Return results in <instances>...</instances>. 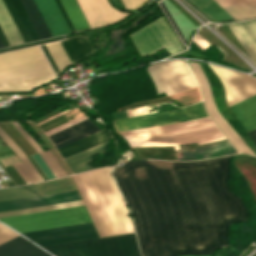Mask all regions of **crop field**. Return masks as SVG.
<instances>
[{"mask_svg":"<svg viewBox=\"0 0 256 256\" xmlns=\"http://www.w3.org/2000/svg\"><path fill=\"white\" fill-rule=\"evenodd\" d=\"M230 157L128 161L115 168L142 256L212 254L229 246V223L247 221L244 202L226 187Z\"/></svg>","mask_w":256,"mask_h":256,"instance_id":"obj_1","label":"crop field"},{"mask_svg":"<svg viewBox=\"0 0 256 256\" xmlns=\"http://www.w3.org/2000/svg\"><path fill=\"white\" fill-rule=\"evenodd\" d=\"M121 133L130 147L187 145L223 137L209 117Z\"/></svg>","mask_w":256,"mask_h":256,"instance_id":"obj_2","label":"crop field"},{"mask_svg":"<svg viewBox=\"0 0 256 256\" xmlns=\"http://www.w3.org/2000/svg\"><path fill=\"white\" fill-rule=\"evenodd\" d=\"M44 248L57 256H139L133 234L45 246Z\"/></svg>","mask_w":256,"mask_h":256,"instance_id":"obj_3","label":"crop field"},{"mask_svg":"<svg viewBox=\"0 0 256 256\" xmlns=\"http://www.w3.org/2000/svg\"><path fill=\"white\" fill-rule=\"evenodd\" d=\"M19 233L92 222L85 207L0 218Z\"/></svg>","mask_w":256,"mask_h":256,"instance_id":"obj_4","label":"crop field"},{"mask_svg":"<svg viewBox=\"0 0 256 256\" xmlns=\"http://www.w3.org/2000/svg\"><path fill=\"white\" fill-rule=\"evenodd\" d=\"M131 36L142 56L163 48L172 54L183 49L163 16Z\"/></svg>","mask_w":256,"mask_h":256,"instance_id":"obj_5","label":"crop field"},{"mask_svg":"<svg viewBox=\"0 0 256 256\" xmlns=\"http://www.w3.org/2000/svg\"><path fill=\"white\" fill-rule=\"evenodd\" d=\"M208 116L203 103H197L186 108L171 111L153 113L147 116H140L114 121L118 131L135 129L146 126L165 125L183 122Z\"/></svg>","mask_w":256,"mask_h":256,"instance_id":"obj_6","label":"crop field"},{"mask_svg":"<svg viewBox=\"0 0 256 256\" xmlns=\"http://www.w3.org/2000/svg\"><path fill=\"white\" fill-rule=\"evenodd\" d=\"M23 235L41 246L99 238L92 223L23 233Z\"/></svg>","mask_w":256,"mask_h":256,"instance_id":"obj_7","label":"crop field"},{"mask_svg":"<svg viewBox=\"0 0 256 256\" xmlns=\"http://www.w3.org/2000/svg\"><path fill=\"white\" fill-rule=\"evenodd\" d=\"M90 28L111 24L128 13L114 9L107 0H77Z\"/></svg>","mask_w":256,"mask_h":256,"instance_id":"obj_8","label":"crop field"},{"mask_svg":"<svg viewBox=\"0 0 256 256\" xmlns=\"http://www.w3.org/2000/svg\"><path fill=\"white\" fill-rule=\"evenodd\" d=\"M80 199L77 191L0 202V212Z\"/></svg>","mask_w":256,"mask_h":256,"instance_id":"obj_9","label":"crop field"},{"mask_svg":"<svg viewBox=\"0 0 256 256\" xmlns=\"http://www.w3.org/2000/svg\"><path fill=\"white\" fill-rule=\"evenodd\" d=\"M98 131H100V129L95 125L92 120L88 118L82 122H79L69 128H66L60 132L49 136V139L56 146V148H58Z\"/></svg>","mask_w":256,"mask_h":256,"instance_id":"obj_10","label":"crop field"},{"mask_svg":"<svg viewBox=\"0 0 256 256\" xmlns=\"http://www.w3.org/2000/svg\"><path fill=\"white\" fill-rule=\"evenodd\" d=\"M52 36L69 33L70 30L54 0H34Z\"/></svg>","mask_w":256,"mask_h":256,"instance_id":"obj_11","label":"crop field"},{"mask_svg":"<svg viewBox=\"0 0 256 256\" xmlns=\"http://www.w3.org/2000/svg\"><path fill=\"white\" fill-rule=\"evenodd\" d=\"M228 26L256 64V19L230 23Z\"/></svg>","mask_w":256,"mask_h":256,"instance_id":"obj_12","label":"crop field"},{"mask_svg":"<svg viewBox=\"0 0 256 256\" xmlns=\"http://www.w3.org/2000/svg\"><path fill=\"white\" fill-rule=\"evenodd\" d=\"M20 236L0 245V256H50Z\"/></svg>","mask_w":256,"mask_h":256,"instance_id":"obj_13","label":"crop field"},{"mask_svg":"<svg viewBox=\"0 0 256 256\" xmlns=\"http://www.w3.org/2000/svg\"><path fill=\"white\" fill-rule=\"evenodd\" d=\"M192 41L195 42L203 50L214 44L225 53L226 56L223 57L222 60L233 63L239 67L250 69L236 54H234L228 47H226L217 37H215L208 30L196 34Z\"/></svg>","mask_w":256,"mask_h":256,"instance_id":"obj_14","label":"crop field"},{"mask_svg":"<svg viewBox=\"0 0 256 256\" xmlns=\"http://www.w3.org/2000/svg\"><path fill=\"white\" fill-rule=\"evenodd\" d=\"M194 150L195 151L183 152L182 158H178V160L190 161L238 153L229 142L202 148H194Z\"/></svg>","mask_w":256,"mask_h":256,"instance_id":"obj_15","label":"crop field"},{"mask_svg":"<svg viewBox=\"0 0 256 256\" xmlns=\"http://www.w3.org/2000/svg\"><path fill=\"white\" fill-rule=\"evenodd\" d=\"M231 109L247 132L256 128V95L231 106Z\"/></svg>","mask_w":256,"mask_h":256,"instance_id":"obj_16","label":"crop field"},{"mask_svg":"<svg viewBox=\"0 0 256 256\" xmlns=\"http://www.w3.org/2000/svg\"><path fill=\"white\" fill-rule=\"evenodd\" d=\"M108 141L109 140L88 150L80 151L74 155H71L65 158V161L74 173L90 170L92 169L91 166L88 164L92 162L90 156L103 152L105 146L108 144Z\"/></svg>","mask_w":256,"mask_h":256,"instance_id":"obj_17","label":"crop field"},{"mask_svg":"<svg viewBox=\"0 0 256 256\" xmlns=\"http://www.w3.org/2000/svg\"><path fill=\"white\" fill-rule=\"evenodd\" d=\"M112 138L111 134L107 129L98 132L96 134H93L89 137H86L84 139H81L79 141L73 142L71 144H68L66 146L60 147L57 150L59 151L62 158L71 155L73 153H76L80 150H83L85 148L91 147L93 145H96L106 139Z\"/></svg>","mask_w":256,"mask_h":256,"instance_id":"obj_18","label":"crop field"},{"mask_svg":"<svg viewBox=\"0 0 256 256\" xmlns=\"http://www.w3.org/2000/svg\"><path fill=\"white\" fill-rule=\"evenodd\" d=\"M187 3H189L194 9H196L198 12H200L206 19H208L209 21L213 22L214 21H218V20H224V19H230L232 18L229 14H227L215 1L213 0H189L192 4H194L197 8H199L203 13H205L209 18V19L205 14H203L200 10H198L194 5H192L188 0H185ZM230 20H234V19H230ZM230 20H224V21H230ZM218 22H222V21H218ZM215 22V23H218Z\"/></svg>","mask_w":256,"mask_h":256,"instance_id":"obj_19","label":"crop field"},{"mask_svg":"<svg viewBox=\"0 0 256 256\" xmlns=\"http://www.w3.org/2000/svg\"><path fill=\"white\" fill-rule=\"evenodd\" d=\"M61 43L72 64L94 51L87 38L76 37L67 41H61Z\"/></svg>","mask_w":256,"mask_h":256,"instance_id":"obj_20","label":"crop field"},{"mask_svg":"<svg viewBox=\"0 0 256 256\" xmlns=\"http://www.w3.org/2000/svg\"><path fill=\"white\" fill-rule=\"evenodd\" d=\"M216 1V0H215ZM219 1L229 12H231L236 18L256 14V0H217ZM216 1V2H217ZM219 2H217L226 12H228ZM228 12V13H229ZM231 13H229L235 20ZM256 16V15H252ZM251 17V16H248ZM247 18V17H243ZM242 19V18H239Z\"/></svg>","mask_w":256,"mask_h":256,"instance_id":"obj_21","label":"crop field"},{"mask_svg":"<svg viewBox=\"0 0 256 256\" xmlns=\"http://www.w3.org/2000/svg\"><path fill=\"white\" fill-rule=\"evenodd\" d=\"M0 28L10 46L23 43V40L2 0H0Z\"/></svg>","mask_w":256,"mask_h":256,"instance_id":"obj_22","label":"crop field"},{"mask_svg":"<svg viewBox=\"0 0 256 256\" xmlns=\"http://www.w3.org/2000/svg\"><path fill=\"white\" fill-rule=\"evenodd\" d=\"M28 16L30 17L40 39L51 37V34L39 13L33 0H21Z\"/></svg>","mask_w":256,"mask_h":256,"instance_id":"obj_23","label":"crop field"},{"mask_svg":"<svg viewBox=\"0 0 256 256\" xmlns=\"http://www.w3.org/2000/svg\"><path fill=\"white\" fill-rule=\"evenodd\" d=\"M35 184L0 189V201L37 196Z\"/></svg>","mask_w":256,"mask_h":256,"instance_id":"obj_24","label":"crop field"},{"mask_svg":"<svg viewBox=\"0 0 256 256\" xmlns=\"http://www.w3.org/2000/svg\"><path fill=\"white\" fill-rule=\"evenodd\" d=\"M76 31L88 29L89 26L76 2V0H61Z\"/></svg>","mask_w":256,"mask_h":256,"instance_id":"obj_25","label":"crop field"},{"mask_svg":"<svg viewBox=\"0 0 256 256\" xmlns=\"http://www.w3.org/2000/svg\"><path fill=\"white\" fill-rule=\"evenodd\" d=\"M30 41L39 39L29 17L27 16L20 0H10Z\"/></svg>","mask_w":256,"mask_h":256,"instance_id":"obj_26","label":"crop field"},{"mask_svg":"<svg viewBox=\"0 0 256 256\" xmlns=\"http://www.w3.org/2000/svg\"><path fill=\"white\" fill-rule=\"evenodd\" d=\"M77 205H84V204L82 200H78V201H72V202H66V203H60V204H53V205H47V206H41V207H35V208L3 212V213H0V217L37 212V211H44V210H50V209H57V208H64V207H70V206H77Z\"/></svg>","mask_w":256,"mask_h":256,"instance_id":"obj_27","label":"crop field"},{"mask_svg":"<svg viewBox=\"0 0 256 256\" xmlns=\"http://www.w3.org/2000/svg\"><path fill=\"white\" fill-rule=\"evenodd\" d=\"M3 1H4L5 5H6V7L8 8V10H9V12H10V14H11V16H12V18H13V20H14V22H15V24H16V26H17V28H18L22 38H23V40H24V42H28L29 39H28V37H27V35H26V33H25V31H24V29H23V27H22V25H21L17 15H16V13H15L11 3H10V1L9 0H3Z\"/></svg>","mask_w":256,"mask_h":256,"instance_id":"obj_28","label":"crop field"},{"mask_svg":"<svg viewBox=\"0 0 256 256\" xmlns=\"http://www.w3.org/2000/svg\"><path fill=\"white\" fill-rule=\"evenodd\" d=\"M33 158L36 160L42 171L45 173V175L48 177V179L55 178V176L52 174V172L49 170L41 156L37 153L33 155Z\"/></svg>","mask_w":256,"mask_h":256,"instance_id":"obj_29","label":"crop field"},{"mask_svg":"<svg viewBox=\"0 0 256 256\" xmlns=\"http://www.w3.org/2000/svg\"><path fill=\"white\" fill-rule=\"evenodd\" d=\"M126 9L136 10L142 4H144L147 0H122Z\"/></svg>","mask_w":256,"mask_h":256,"instance_id":"obj_30","label":"crop field"},{"mask_svg":"<svg viewBox=\"0 0 256 256\" xmlns=\"http://www.w3.org/2000/svg\"><path fill=\"white\" fill-rule=\"evenodd\" d=\"M55 1H56L57 5H58L59 9L61 10V12H62V14H63V16H64V18H65V20H66V22H67V24H68V26L70 28V30H71V32H74L75 29H74V27H73V25H72L68 15H67L66 11H65V9L63 8L60 0H55Z\"/></svg>","mask_w":256,"mask_h":256,"instance_id":"obj_31","label":"crop field"},{"mask_svg":"<svg viewBox=\"0 0 256 256\" xmlns=\"http://www.w3.org/2000/svg\"><path fill=\"white\" fill-rule=\"evenodd\" d=\"M41 46H42V48H43V50H44L46 56L48 57V59H49L51 65L53 66V68H54V70H55V72H56V74H57V76H58L60 72H59L57 66L55 65L53 59L51 58L49 52L47 51V49H46V47H45V45H41Z\"/></svg>","mask_w":256,"mask_h":256,"instance_id":"obj_32","label":"crop field"},{"mask_svg":"<svg viewBox=\"0 0 256 256\" xmlns=\"http://www.w3.org/2000/svg\"><path fill=\"white\" fill-rule=\"evenodd\" d=\"M161 6L163 7L164 11L166 12V14L168 15V17L170 18L171 22L173 23V25L175 26L176 30L178 31L179 35L181 36V38L183 39L184 43L186 44L184 38L182 37L181 33L179 32L178 28L176 27L174 21L172 20L171 16L169 15L168 11L166 10L165 6L163 5L162 1H161Z\"/></svg>","mask_w":256,"mask_h":256,"instance_id":"obj_33","label":"crop field"},{"mask_svg":"<svg viewBox=\"0 0 256 256\" xmlns=\"http://www.w3.org/2000/svg\"><path fill=\"white\" fill-rule=\"evenodd\" d=\"M249 134L252 136V138L256 141V129L249 132Z\"/></svg>","mask_w":256,"mask_h":256,"instance_id":"obj_34","label":"crop field"},{"mask_svg":"<svg viewBox=\"0 0 256 256\" xmlns=\"http://www.w3.org/2000/svg\"><path fill=\"white\" fill-rule=\"evenodd\" d=\"M0 36H1V38H2V40H3V42H4V44H5V46H8V44H7V42H6L5 38H4V36H3L2 32H1V30H0ZM9 46H10V45H9Z\"/></svg>","mask_w":256,"mask_h":256,"instance_id":"obj_35","label":"crop field"},{"mask_svg":"<svg viewBox=\"0 0 256 256\" xmlns=\"http://www.w3.org/2000/svg\"><path fill=\"white\" fill-rule=\"evenodd\" d=\"M0 47H4V44H3L2 40H1V38H0Z\"/></svg>","mask_w":256,"mask_h":256,"instance_id":"obj_36","label":"crop field"}]
</instances>
